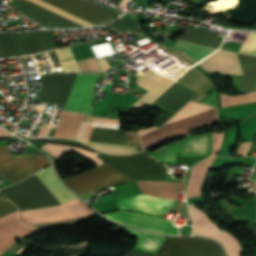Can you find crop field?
<instances>
[{"label":"crop field","mask_w":256,"mask_h":256,"mask_svg":"<svg viewBox=\"0 0 256 256\" xmlns=\"http://www.w3.org/2000/svg\"><path fill=\"white\" fill-rule=\"evenodd\" d=\"M153 107H155V108H157V109H159V110H161V111H163L164 113H166V114H168V115H172L173 113H171V112H169V111H167V110H165V109H163V108H161V107H159V106H157V105H153Z\"/></svg>","instance_id":"crop-field-42"},{"label":"crop field","mask_w":256,"mask_h":256,"mask_svg":"<svg viewBox=\"0 0 256 256\" xmlns=\"http://www.w3.org/2000/svg\"><path fill=\"white\" fill-rule=\"evenodd\" d=\"M57 48L50 31L0 34V57L27 55Z\"/></svg>","instance_id":"crop-field-4"},{"label":"crop field","mask_w":256,"mask_h":256,"mask_svg":"<svg viewBox=\"0 0 256 256\" xmlns=\"http://www.w3.org/2000/svg\"><path fill=\"white\" fill-rule=\"evenodd\" d=\"M199 64L210 71L243 75L234 53L219 50Z\"/></svg>","instance_id":"crop-field-17"},{"label":"crop field","mask_w":256,"mask_h":256,"mask_svg":"<svg viewBox=\"0 0 256 256\" xmlns=\"http://www.w3.org/2000/svg\"><path fill=\"white\" fill-rule=\"evenodd\" d=\"M71 50L76 60L92 56L88 45L72 47Z\"/></svg>","instance_id":"crop-field-33"},{"label":"crop field","mask_w":256,"mask_h":256,"mask_svg":"<svg viewBox=\"0 0 256 256\" xmlns=\"http://www.w3.org/2000/svg\"><path fill=\"white\" fill-rule=\"evenodd\" d=\"M211 133L187 137L147 152L163 163H176V156L210 154Z\"/></svg>","instance_id":"crop-field-7"},{"label":"crop field","mask_w":256,"mask_h":256,"mask_svg":"<svg viewBox=\"0 0 256 256\" xmlns=\"http://www.w3.org/2000/svg\"><path fill=\"white\" fill-rule=\"evenodd\" d=\"M213 91H214V88H213V86H212L209 90H207V91L205 92V94L210 95ZM206 98H207V97H206ZM206 98H205V99H206Z\"/></svg>","instance_id":"crop-field-44"},{"label":"crop field","mask_w":256,"mask_h":256,"mask_svg":"<svg viewBox=\"0 0 256 256\" xmlns=\"http://www.w3.org/2000/svg\"><path fill=\"white\" fill-rule=\"evenodd\" d=\"M255 182H256V178H255V180H254Z\"/></svg>","instance_id":"crop-field-45"},{"label":"crop field","mask_w":256,"mask_h":256,"mask_svg":"<svg viewBox=\"0 0 256 256\" xmlns=\"http://www.w3.org/2000/svg\"><path fill=\"white\" fill-rule=\"evenodd\" d=\"M178 39L216 49H218L222 41V38L215 36V34L194 27H191L185 34H183Z\"/></svg>","instance_id":"crop-field-21"},{"label":"crop field","mask_w":256,"mask_h":256,"mask_svg":"<svg viewBox=\"0 0 256 256\" xmlns=\"http://www.w3.org/2000/svg\"><path fill=\"white\" fill-rule=\"evenodd\" d=\"M111 28L114 30L121 32L124 30L132 31V30H138L140 27L137 25V23L126 21L119 19L111 24H109Z\"/></svg>","instance_id":"crop-field-31"},{"label":"crop field","mask_w":256,"mask_h":256,"mask_svg":"<svg viewBox=\"0 0 256 256\" xmlns=\"http://www.w3.org/2000/svg\"><path fill=\"white\" fill-rule=\"evenodd\" d=\"M97 157L109 163L135 181H166L165 167L143 155L112 157L99 154Z\"/></svg>","instance_id":"crop-field-5"},{"label":"crop field","mask_w":256,"mask_h":256,"mask_svg":"<svg viewBox=\"0 0 256 256\" xmlns=\"http://www.w3.org/2000/svg\"><path fill=\"white\" fill-rule=\"evenodd\" d=\"M50 165L41 155L11 156L0 147V175L15 183ZM9 181V182H10Z\"/></svg>","instance_id":"crop-field-6"},{"label":"crop field","mask_w":256,"mask_h":256,"mask_svg":"<svg viewBox=\"0 0 256 256\" xmlns=\"http://www.w3.org/2000/svg\"><path fill=\"white\" fill-rule=\"evenodd\" d=\"M238 55L245 74L239 77L243 92L256 91V57Z\"/></svg>","instance_id":"crop-field-20"},{"label":"crop field","mask_w":256,"mask_h":256,"mask_svg":"<svg viewBox=\"0 0 256 256\" xmlns=\"http://www.w3.org/2000/svg\"><path fill=\"white\" fill-rule=\"evenodd\" d=\"M47 125L44 124L43 128L40 130V133L38 136H41V137H44L45 136V133H46V130H47Z\"/></svg>","instance_id":"crop-field-41"},{"label":"crop field","mask_w":256,"mask_h":256,"mask_svg":"<svg viewBox=\"0 0 256 256\" xmlns=\"http://www.w3.org/2000/svg\"><path fill=\"white\" fill-rule=\"evenodd\" d=\"M93 122L111 124L112 120L91 118L83 138L87 139Z\"/></svg>","instance_id":"crop-field-35"},{"label":"crop field","mask_w":256,"mask_h":256,"mask_svg":"<svg viewBox=\"0 0 256 256\" xmlns=\"http://www.w3.org/2000/svg\"><path fill=\"white\" fill-rule=\"evenodd\" d=\"M174 49L186 54L196 62L215 50L180 40H178Z\"/></svg>","instance_id":"crop-field-25"},{"label":"crop field","mask_w":256,"mask_h":256,"mask_svg":"<svg viewBox=\"0 0 256 256\" xmlns=\"http://www.w3.org/2000/svg\"><path fill=\"white\" fill-rule=\"evenodd\" d=\"M41 148H43L57 159L64 155L66 152L73 149L98 165L103 163L102 160L95 157L97 154L91 151L88 152L86 150H82L77 147L53 145L47 143ZM64 182L71 189L81 195L106 186L132 182V180L105 163L89 172L64 180Z\"/></svg>","instance_id":"crop-field-3"},{"label":"crop field","mask_w":256,"mask_h":256,"mask_svg":"<svg viewBox=\"0 0 256 256\" xmlns=\"http://www.w3.org/2000/svg\"><path fill=\"white\" fill-rule=\"evenodd\" d=\"M130 253V252H129ZM127 256H156L155 254L152 253H147V252H141V251H135L133 250L130 254Z\"/></svg>","instance_id":"crop-field-38"},{"label":"crop field","mask_w":256,"mask_h":256,"mask_svg":"<svg viewBox=\"0 0 256 256\" xmlns=\"http://www.w3.org/2000/svg\"><path fill=\"white\" fill-rule=\"evenodd\" d=\"M190 213L194 221V234L214 237L223 242L230 256H240L241 248L237 240L229 233L219 229L202 211L189 206ZM221 242V243H222Z\"/></svg>","instance_id":"crop-field-10"},{"label":"crop field","mask_w":256,"mask_h":256,"mask_svg":"<svg viewBox=\"0 0 256 256\" xmlns=\"http://www.w3.org/2000/svg\"><path fill=\"white\" fill-rule=\"evenodd\" d=\"M0 191L4 193L11 201H13L20 211L60 204L35 174L15 185L2 188ZM80 201L81 200L79 198H76L63 205ZM91 213L92 212L88 209L87 205L81 202L69 206L19 213L18 219L23 223L32 224L45 221L69 219Z\"/></svg>","instance_id":"crop-field-1"},{"label":"crop field","mask_w":256,"mask_h":256,"mask_svg":"<svg viewBox=\"0 0 256 256\" xmlns=\"http://www.w3.org/2000/svg\"><path fill=\"white\" fill-rule=\"evenodd\" d=\"M63 71L66 70H79L75 60L60 63ZM81 70H99L95 57L78 61Z\"/></svg>","instance_id":"crop-field-29"},{"label":"crop field","mask_w":256,"mask_h":256,"mask_svg":"<svg viewBox=\"0 0 256 256\" xmlns=\"http://www.w3.org/2000/svg\"><path fill=\"white\" fill-rule=\"evenodd\" d=\"M29 1L34 2V3H36V4L40 5V6L48 9V10H51V11H53V12H55V13L63 16V17H65V18H68V19H70V20H72V21H74V22H76V23H78V24H80L82 26H92V24H90V23H88V22H86V21H84L82 19H79V18H77V17H75V16H73V15L67 13V12H64V11H62V10H60V9L50 5V4H47V3H45V2H43L41 0H29Z\"/></svg>","instance_id":"crop-field-30"},{"label":"crop field","mask_w":256,"mask_h":256,"mask_svg":"<svg viewBox=\"0 0 256 256\" xmlns=\"http://www.w3.org/2000/svg\"><path fill=\"white\" fill-rule=\"evenodd\" d=\"M90 141L127 145L125 132L94 127Z\"/></svg>","instance_id":"crop-field-24"},{"label":"crop field","mask_w":256,"mask_h":256,"mask_svg":"<svg viewBox=\"0 0 256 256\" xmlns=\"http://www.w3.org/2000/svg\"><path fill=\"white\" fill-rule=\"evenodd\" d=\"M250 142H242L238 149L237 154L245 156ZM252 143V142H251ZM250 143V145H251ZM250 147V146H249ZM249 150V149H248Z\"/></svg>","instance_id":"crop-field-36"},{"label":"crop field","mask_w":256,"mask_h":256,"mask_svg":"<svg viewBox=\"0 0 256 256\" xmlns=\"http://www.w3.org/2000/svg\"><path fill=\"white\" fill-rule=\"evenodd\" d=\"M96 60L99 64V67H100L101 71L110 68L109 64L106 62L104 57L97 58Z\"/></svg>","instance_id":"crop-field-37"},{"label":"crop field","mask_w":256,"mask_h":256,"mask_svg":"<svg viewBox=\"0 0 256 256\" xmlns=\"http://www.w3.org/2000/svg\"><path fill=\"white\" fill-rule=\"evenodd\" d=\"M248 226H249L250 231H251V232L253 233V235H255V237H256V224L248 223Z\"/></svg>","instance_id":"crop-field-39"},{"label":"crop field","mask_w":256,"mask_h":256,"mask_svg":"<svg viewBox=\"0 0 256 256\" xmlns=\"http://www.w3.org/2000/svg\"><path fill=\"white\" fill-rule=\"evenodd\" d=\"M105 216L115 222L132 227L142 228L160 234L178 235V231L172 222L165 219L131 212H114Z\"/></svg>","instance_id":"crop-field-11"},{"label":"crop field","mask_w":256,"mask_h":256,"mask_svg":"<svg viewBox=\"0 0 256 256\" xmlns=\"http://www.w3.org/2000/svg\"><path fill=\"white\" fill-rule=\"evenodd\" d=\"M92 24L115 14L103 10L85 0H43Z\"/></svg>","instance_id":"crop-field-14"},{"label":"crop field","mask_w":256,"mask_h":256,"mask_svg":"<svg viewBox=\"0 0 256 256\" xmlns=\"http://www.w3.org/2000/svg\"><path fill=\"white\" fill-rule=\"evenodd\" d=\"M8 5L23 13L27 17L33 19L34 21L40 23L44 27H81L80 25L68 19H65L27 0H11Z\"/></svg>","instance_id":"crop-field-13"},{"label":"crop field","mask_w":256,"mask_h":256,"mask_svg":"<svg viewBox=\"0 0 256 256\" xmlns=\"http://www.w3.org/2000/svg\"><path fill=\"white\" fill-rule=\"evenodd\" d=\"M78 74L40 75L39 102L65 106Z\"/></svg>","instance_id":"crop-field-9"},{"label":"crop field","mask_w":256,"mask_h":256,"mask_svg":"<svg viewBox=\"0 0 256 256\" xmlns=\"http://www.w3.org/2000/svg\"><path fill=\"white\" fill-rule=\"evenodd\" d=\"M36 174L61 204L75 197L66 187L61 184L54 172L53 167H49Z\"/></svg>","instance_id":"crop-field-18"},{"label":"crop field","mask_w":256,"mask_h":256,"mask_svg":"<svg viewBox=\"0 0 256 256\" xmlns=\"http://www.w3.org/2000/svg\"><path fill=\"white\" fill-rule=\"evenodd\" d=\"M214 157H209L192 168L191 178L188 185V197L201 195L200 187L202 181L210 168Z\"/></svg>","instance_id":"crop-field-22"},{"label":"crop field","mask_w":256,"mask_h":256,"mask_svg":"<svg viewBox=\"0 0 256 256\" xmlns=\"http://www.w3.org/2000/svg\"><path fill=\"white\" fill-rule=\"evenodd\" d=\"M175 202V200L142 194L120 199L117 204L119 209L138 210L163 216Z\"/></svg>","instance_id":"crop-field-15"},{"label":"crop field","mask_w":256,"mask_h":256,"mask_svg":"<svg viewBox=\"0 0 256 256\" xmlns=\"http://www.w3.org/2000/svg\"><path fill=\"white\" fill-rule=\"evenodd\" d=\"M240 52L256 55V32H250Z\"/></svg>","instance_id":"crop-field-32"},{"label":"crop field","mask_w":256,"mask_h":256,"mask_svg":"<svg viewBox=\"0 0 256 256\" xmlns=\"http://www.w3.org/2000/svg\"><path fill=\"white\" fill-rule=\"evenodd\" d=\"M220 95H221V107L256 102V92L247 93V94L236 96V97H232V96L221 94V93Z\"/></svg>","instance_id":"crop-field-28"},{"label":"crop field","mask_w":256,"mask_h":256,"mask_svg":"<svg viewBox=\"0 0 256 256\" xmlns=\"http://www.w3.org/2000/svg\"><path fill=\"white\" fill-rule=\"evenodd\" d=\"M13 204L0 200V216L16 209ZM17 209L0 217V253L18 238L34 228L20 224L16 218Z\"/></svg>","instance_id":"crop-field-12"},{"label":"crop field","mask_w":256,"mask_h":256,"mask_svg":"<svg viewBox=\"0 0 256 256\" xmlns=\"http://www.w3.org/2000/svg\"><path fill=\"white\" fill-rule=\"evenodd\" d=\"M216 107L190 101L160 129L151 126L137 130L145 149L171 137L217 122Z\"/></svg>","instance_id":"crop-field-2"},{"label":"crop field","mask_w":256,"mask_h":256,"mask_svg":"<svg viewBox=\"0 0 256 256\" xmlns=\"http://www.w3.org/2000/svg\"><path fill=\"white\" fill-rule=\"evenodd\" d=\"M193 1H195V0H193Z\"/></svg>","instance_id":"crop-field-46"},{"label":"crop field","mask_w":256,"mask_h":256,"mask_svg":"<svg viewBox=\"0 0 256 256\" xmlns=\"http://www.w3.org/2000/svg\"><path fill=\"white\" fill-rule=\"evenodd\" d=\"M162 79L174 84L173 81L169 80L168 78L162 76L161 74L157 73L154 70L149 71ZM146 73L144 76L136 79L137 83L144 89L149 90L141 99H139L135 104H133L128 109H139L141 108L145 103L150 104L153 102L156 98H158L165 90H167L172 84L160 79L159 77L151 74Z\"/></svg>","instance_id":"crop-field-16"},{"label":"crop field","mask_w":256,"mask_h":256,"mask_svg":"<svg viewBox=\"0 0 256 256\" xmlns=\"http://www.w3.org/2000/svg\"><path fill=\"white\" fill-rule=\"evenodd\" d=\"M125 230L133 233L138 237L133 248L137 250L155 253L165 239L164 236L153 235L136 229L127 228Z\"/></svg>","instance_id":"crop-field-23"},{"label":"crop field","mask_w":256,"mask_h":256,"mask_svg":"<svg viewBox=\"0 0 256 256\" xmlns=\"http://www.w3.org/2000/svg\"><path fill=\"white\" fill-rule=\"evenodd\" d=\"M84 114L64 111L53 137L74 139Z\"/></svg>","instance_id":"crop-field-19"},{"label":"crop field","mask_w":256,"mask_h":256,"mask_svg":"<svg viewBox=\"0 0 256 256\" xmlns=\"http://www.w3.org/2000/svg\"><path fill=\"white\" fill-rule=\"evenodd\" d=\"M0 135H4V136H12V134H10L9 132L3 130L2 128H0Z\"/></svg>","instance_id":"crop-field-43"},{"label":"crop field","mask_w":256,"mask_h":256,"mask_svg":"<svg viewBox=\"0 0 256 256\" xmlns=\"http://www.w3.org/2000/svg\"><path fill=\"white\" fill-rule=\"evenodd\" d=\"M179 82L198 92L210 83L197 69L194 68L189 71L183 78H181ZM211 86L212 84L209 87ZM208 88H206L199 96H197L195 100L200 97ZM205 97L206 96H204L202 99H204ZM202 99H200L199 101H201Z\"/></svg>","instance_id":"crop-field-26"},{"label":"crop field","mask_w":256,"mask_h":256,"mask_svg":"<svg viewBox=\"0 0 256 256\" xmlns=\"http://www.w3.org/2000/svg\"><path fill=\"white\" fill-rule=\"evenodd\" d=\"M223 136H224V133L213 134L212 155L217 154V152L220 148V144H221Z\"/></svg>","instance_id":"crop-field-34"},{"label":"crop field","mask_w":256,"mask_h":256,"mask_svg":"<svg viewBox=\"0 0 256 256\" xmlns=\"http://www.w3.org/2000/svg\"><path fill=\"white\" fill-rule=\"evenodd\" d=\"M157 256H225L220 246L207 239L169 238Z\"/></svg>","instance_id":"crop-field-8"},{"label":"crop field","mask_w":256,"mask_h":256,"mask_svg":"<svg viewBox=\"0 0 256 256\" xmlns=\"http://www.w3.org/2000/svg\"><path fill=\"white\" fill-rule=\"evenodd\" d=\"M166 116L163 115L160 119H158L154 124L157 125L161 120H163ZM167 119H169V117H166L162 122H160L158 124V126H160L161 124H163Z\"/></svg>","instance_id":"crop-field-40"},{"label":"crop field","mask_w":256,"mask_h":256,"mask_svg":"<svg viewBox=\"0 0 256 256\" xmlns=\"http://www.w3.org/2000/svg\"><path fill=\"white\" fill-rule=\"evenodd\" d=\"M80 143L87 145L93 149H96L100 152H103L105 154H116V155H127V154H134L138 153L134 148H126V147H120V146H111V145H102V144H93V143H86L81 142Z\"/></svg>","instance_id":"crop-field-27"}]
</instances>
